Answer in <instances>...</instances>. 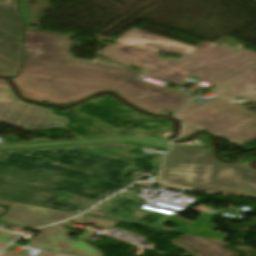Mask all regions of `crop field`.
I'll use <instances>...</instances> for the list:
<instances>
[{
  "label": "crop field",
  "mask_w": 256,
  "mask_h": 256,
  "mask_svg": "<svg viewBox=\"0 0 256 256\" xmlns=\"http://www.w3.org/2000/svg\"><path fill=\"white\" fill-rule=\"evenodd\" d=\"M83 220H84V218L77 217V218H75V219H73V220H71V221H75V222L81 223Z\"/></svg>",
  "instance_id": "23"
},
{
  "label": "crop field",
  "mask_w": 256,
  "mask_h": 256,
  "mask_svg": "<svg viewBox=\"0 0 256 256\" xmlns=\"http://www.w3.org/2000/svg\"><path fill=\"white\" fill-rule=\"evenodd\" d=\"M155 181L207 191L256 196V171L248 163L228 165L211 151L171 146Z\"/></svg>",
  "instance_id": "4"
},
{
  "label": "crop field",
  "mask_w": 256,
  "mask_h": 256,
  "mask_svg": "<svg viewBox=\"0 0 256 256\" xmlns=\"http://www.w3.org/2000/svg\"><path fill=\"white\" fill-rule=\"evenodd\" d=\"M101 53L125 65H137L144 74L175 84L192 74L199 80L220 85L256 65V54L245 49L234 52L205 42L195 48L132 29ZM158 51L183 55L180 60H162Z\"/></svg>",
  "instance_id": "3"
},
{
  "label": "crop field",
  "mask_w": 256,
  "mask_h": 256,
  "mask_svg": "<svg viewBox=\"0 0 256 256\" xmlns=\"http://www.w3.org/2000/svg\"><path fill=\"white\" fill-rule=\"evenodd\" d=\"M202 129L192 126V125H188V124H184V129L181 133L180 138L183 139L185 136H187L189 133L193 132V131H201Z\"/></svg>",
  "instance_id": "18"
},
{
  "label": "crop field",
  "mask_w": 256,
  "mask_h": 256,
  "mask_svg": "<svg viewBox=\"0 0 256 256\" xmlns=\"http://www.w3.org/2000/svg\"><path fill=\"white\" fill-rule=\"evenodd\" d=\"M74 215L15 202L0 220L34 229L41 225L67 219Z\"/></svg>",
  "instance_id": "9"
},
{
  "label": "crop field",
  "mask_w": 256,
  "mask_h": 256,
  "mask_svg": "<svg viewBox=\"0 0 256 256\" xmlns=\"http://www.w3.org/2000/svg\"><path fill=\"white\" fill-rule=\"evenodd\" d=\"M15 237H17V234H15V233L0 231V240H1V241L10 242V241L13 240ZM11 242H12V241H11Z\"/></svg>",
  "instance_id": "19"
},
{
  "label": "crop field",
  "mask_w": 256,
  "mask_h": 256,
  "mask_svg": "<svg viewBox=\"0 0 256 256\" xmlns=\"http://www.w3.org/2000/svg\"><path fill=\"white\" fill-rule=\"evenodd\" d=\"M137 185L149 186L152 187L154 183H138Z\"/></svg>",
  "instance_id": "22"
},
{
  "label": "crop field",
  "mask_w": 256,
  "mask_h": 256,
  "mask_svg": "<svg viewBox=\"0 0 256 256\" xmlns=\"http://www.w3.org/2000/svg\"><path fill=\"white\" fill-rule=\"evenodd\" d=\"M143 202V199L121 192L96 207L108 211L105 215L92 212L95 209L86 215L161 229L168 216L139 209Z\"/></svg>",
  "instance_id": "7"
},
{
  "label": "crop field",
  "mask_w": 256,
  "mask_h": 256,
  "mask_svg": "<svg viewBox=\"0 0 256 256\" xmlns=\"http://www.w3.org/2000/svg\"><path fill=\"white\" fill-rule=\"evenodd\" d=\"M84 224H94L98 226H103V227H114L118 223L117 222H112V221H106V220H101V219H96V218H88Z\"/></svg>",
  "instance_id": "16"
},
{
  "label": "crop field",
  "mask_w": 256,
  "mask_h": 256,
  "mask_svg": "<svg viewBox=\"0 0 256 256\" xmlns=\"http://www.w3.org/2000/svg\"><path fill=\"white\" fill-rule=\"evenodd\" d=\"M0 32L22 40V23L19 18L16 0L0 2Z\"/></svg>",
  "instance_id": "12"
},
{
  "label": "crop field",
  "mask_w": 256,
  "mask_h": 256,
  "mask_svg": "<svg viewBox=\"0 0 256 256\" xmlns=\"http://www.w3.org/2000/svg\"><path fill=\"white\" fill-rule=\"evenodd\" d=\"M0 56L21 66L22 42L8 39L0 35Z\"/></svg>",
  "instance_id": "14"
},
{
  "label": "crop field",
  "mask_w": 256,
  "mask_h": 256,
  "mask_svg": "<svg viewBox=\"0 0 256 256\" xmlns=\"http://www.w3.org/2000/svg\"><path fill=\"white\" fill-rule=\"evenodd\" d=\"M0 256H25V255L15 254V253L4 251L3 253L0 254ZM38 256H66V255L51 253V252L42 250V252Z\"/></svg>",
  "instance_id": "17"
},
{
  "label": "crop field",
  "mask_w": 256,
  "mask_h": 256,
  "mask_svg": "<svg viewBox=\"0 0 256 256\" xmlns=\"http://www.w3.org/2000/svg\"><path fill=\"white\" fill-rule=\"evenodd\" d=\"M20 67L0 57V75H15Z\"/></svg>",
  "instance_id": "15"
},
{
  "label": "crop field",
  "mask_w": 256,
  "mask_h": 256,
  "mask_svg": "<svg viewBox=\"0 0 256 256\" xmlns=\"http://www.w3.org/2000/svg\"><path fill=\"white\" fill-rule=\"evenodd\" d=\"M161 157L123 144L4 151L0 198L79 213L133 182L131 168L158 174Z\"/></svg>",
  "instance_id": "1"
},
{
  "label": "crop field",
  "mask_w": 256,
  "mask_h": 256,
  "mask_svg": "<svg viewBox=\"0 0 256 256\" xmlns=\"http://www.w3.org/2000/svg\"><path fill=\"white\" fill-rule=\"evenodd\" d=\"M0 87L11 88L10 84L6 81V79H2V78H0Z\"/></svg>",
  "instance_id": "20"
},
{
  "label": "crop field",
  "mask_w": 256,
  "mask_h": 256,
  "mask_svg": "<svg viewBox=\"0 0 256 256\" xmlns=\"http://www.w3.org/2000/svg\"><path fill=\"white\" fill-rule=\"evenodd\" d=\"M120 142L168 150V141L164 138L162 133L120 136Z\"/></svg>",
  "instance_id": "13"
},
{
  "label": "crop field",
  "mask_w": 256,
  "mask_h": 256,
  "mask_svg": "<svg viewBox=\"0 0 256 256\" xmlns=\"http://www.w3.org/2000/svg\"><path fill=\"white\" fill-rule=\"evenodd\" d=\"M12 204H13L12 202H7V201L0 200V205L10 207Z\"/></svg>",
  "instance_id": "21"
},
{
  "label": "crop field",
  "mask_w": 256,
  "mask_h": 256,
  "mask_svg": "<svg viewBox=\"0 0 256 256\" xmlns=\"http://www.w3.org/2000/svg\"><path fill=\"white\" fill-rule=\"evenodd\" d=\"M70 38L25 32V65L16 85L23 96L64 104L101 90H114L130 103L157 113L176 112L194 96L134 79L138 72L109 64L70 59Z\"/></svg>",
  "instance_id": "2"
},
{
  "label": "crop field",
  "mask_w": 256,
  "mask_h": 256,
  "mask_svg": "<svg viewBox=\"0 0 256 256\" xmlns=\"http://www.w3.org/2000/svg\"><path fill=\"white\" fill-rule=\"evenodd\" d=\"M41 232L27 245L36 248H47L53 251L79 256H105L100 250L88 245L84 241H71L67 239L68 230L57 226L36 230Z\"/></svg>",
  "instance_id": "8"
},
{
  "label": "crop field",
  "mask_w": 256,
  "mask_h": 256,
  "mask_svg": "<svg viewBox=\"0 0 256 256\" xmlns=\"http://www.w3.org/2000/svg\"><path fill=\"white\" fill-rule=\"evenodd\" d=\"M172 244L196 256H239L225 248L227 243L186 235Z\"/></svg>",
  "instance_id": "11"
},
{
  "label": "crop field",
  "mask_w": 256,
  "mask_h": 256,
  "mask_svg": "<svg viewBox=\"0 0 256 256\" xmlns=\"http://www.w3.org/2000/svg\"><path fill=\"white\" fill-rule=\"evenodd\" d=\"M0 122L20 129H48L66 125L52 110L20 101L12 89L0 88Z\"/></svg>",
  "instance_id": "6"
},
{
  "label": "crop field",
  "mask_w": 256,
  "mask_h": 256,
  "mask_svg": "<svg viewBox=\"0 0 256 256\" xmlns=\"http://www.w3.org/2000/svg\"><path fill=\"white\" fill-rule=\"evenodd\" d=\"M230 101L220 97L206 105L189 103L176 116L233 143L243 144L256 139V114Z\"/></svg>",
  "instance_id": "5"
},
{
  "label": "crop field",
  "mask_w": 256,
  "mask_h": 256,
  "mask_svg": "<svg viewBox=\"0 0 256 256\" xmlns=\"http://www.w3.org/2000/svg\"><path fill=\"white\" fill-rule=\"evenodd\" d=\"M211 91L229 98L240 96L256 100V66Z\"/></svg>",
  "instance_id": "10"
},
{
  "label": "crop field",
  "mask_w": 256,
  "mask_h": 256,
  "mask_svg": "<svg viewBox=\"0 0 256 256\" xmlns=\"http://www.w3.org/2000/svg\"><path fill=\"white\" fill-rule=\"evenodd\" d=\"M6 244H8L7 242H1L0 241V249H2ZM7 246V245H6Z\"/></svg>",
  "instance_id": "24"
}]
</instances>
